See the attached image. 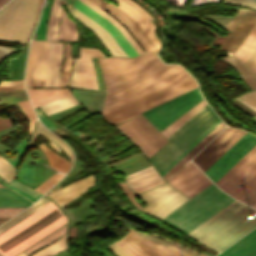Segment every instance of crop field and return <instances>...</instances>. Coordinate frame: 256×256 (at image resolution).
Returning <instances> with one entry per match:
<instances>
[{"label":"crop field","instance_id":"8a807250","mask_svg":"<svg viewBox=\"0 0 256 256\" xmlns=\"http://www.w3.org/2000/svg\"><path fill=\"white\" fill-rule=\"evenodd\" d=\"M51 202L42 198L0 226V234ZM67 222L62 212L51 202L22 222L0 235V252L14 256ZM1 253V254H2Z\"/></svg>","mask_w":256,"mask_h":256},{"label":"crop field","instance_id":"ac0d7876","mask_svg":"<svg viewBox=\"0 0 256 256\" xmlns=\"http://www.w3.org/2000/svg\"><path fill=\"white\" fill-rule=\"evenodd\" d=\"M218 119L203 99L162 130L170 142L151 158L159 173Z\"/></svg>","mask_w":256,"mask_h":256},{"label":"crop field","instance_id":"34b2d1b8","mask_svg":"<svg viewBox=\"0 0 256 256\" xmlns=\"http://www.w3.org/2000/svg\"><path fill=\"white\" fill-rule=\"evenodd\" d=\"M254 212L235 201L187 235L221 251L256 226V218L247 219Z\"/></svg>","mask_w":256,"mask_h":256},{"label":"crop field","instance_id":"412701ff","mask_svg":"<svg viewBox=\"0 0 256 256\" xmlns=\"http://www.w3.org/2000/svg\"><path fill=\"white\" fill-rule=\"evenodd\" d=\"M99 61L108 90L106 98L175 66L163 64L153 53L132 59L113 57Z\"/></svg>","mask_w":256,"mask_h":256},{"label":"crop field","instance_id":"f4fd0767","mask_svg":"<svg viewBox=\"0 0 256 256\" xmlns=\"http://www.w3.org/2000/svg\"><path fill=\"white\" fill-rule=\"evenodd\" d=\"M233 201L212 183L161 220L187 234Z\"/></svg>","mask_w":256,"mask_h":256},{"label":"crop field","instance_id":"dd49c442","mask_svg":"<svg viewBox=\"0 0 256 256\" xmlns=\"http://www.w3.org/2000/svg\"><path fill=\"white\" fill-rule=\"evenodd\" d=\"M196 86V81L192 77L188 76L178 82H175L167 87H164L128 105H125L117 110H114L104 115V117L111 123L117 124L127 118H130L142 111H145L155 105H158L168 99H171Z\"/></svg>","mask_w":256,"mask_h":256},{"label":"crop field","instance_id":"e52e79f7","mask_svg":"<svg viewBox=\"0 0 256 256\" xmlns=\"http://www.w3.org/2000/svg\"><path fill=\"white\" fill-rule=\"evenodd\" d=\"M188 74L179 66H176L166 72L152 77L142 83L128 88L118 94H115L105 100L102 115L128 104L138 98H141L151 92H154L164 86L178 81Z\"/></svg>","mask_w":256,"mask_h":256},{"label":"crop field","instance_id":"d8731c3e","mask_svg":"<svg viewBox=\"0 0 256 256\" xmlns=\"http://www.w3.org/2000/svg\"><path fill=\"white\" fill-rule=\"evenodd\" d=\"M215 184L239 200L247 194L256 185V146Z\"/></svg>","mask_w":256,"mask_h":256},{"label":"crop field","instance_id":"5a996713","mask_svg":"<svg viewBox=\"0 0 256 256\" xmlns=\"http://www.w3.org/2000/svg\"><path fill=\"white\" fill-rule=\"evenodd\" d=\"M202 99L196 87L143 114L161 131Z\"/></svg>","mask_w":256,"mask_h":256},{"label":"crop field","instance_id":"3316defc","mask_svg":"<svg viewBox=\"0 0 256 256\" xmlns=\"http://www.w3.org/2000/svg\"><path fill=\"white\" fill-rule=\"evenodd\" d=\"M138 197L148 205L142 210L160 219L188 200L168 184L141 193Z\"/></svg>","mask_w":256,"mask_h":256},{"label":"crop field","instance_id":"28ad6ade","mask_svg":"<svg viewBox=\"0 0 256 256\" xmlns=\"http://www.w3.org/2000/svg\"><path fill=\"white\" fill-rule=\"evenodd\" d=\"M254 145H256V136L247 132L204 173L215 183Z\"/></svg>","mask_w":256,"mask_h":256},{"label":"crop field","instance_id":"d1516ede","mask_svg":"<svg viewBox=\"0 0 256 256\" xmlns=\"http://www.w3.org/2000/svg\"><path fill=\"white\" fill-rule=\"evenodd\" d=\"M245 133V131L226 128L203 151L201 150L202 152L193 161L204 172Z\"/></svg>","mask_w":256,"mask_h":256},{"label":"crop field","instance_id":"22f410ed","mask_svg":"<svg viewBox=\"0 0 256 256\" xmlns=\"http://www.w3.org/2000/svg\"><path fill=\"white\" fill-rule=\"evenodd\" d=\"M81 58L75 59L74 68L94 67L90 57H104L98 49L80 48ZM70 86L97 89L94 68L73 69Z\"/></svg>","mask_w":256,"mask_h":256},{"label":"crop field","instance_id":"cbeb9de0","mask_svg":"<svg viewBox=\"0 0 256 256\" xmlns=\"http://www.w3.org/2000/svg\"><path fill=\"white\" fill-rule=\"evenodd\" d=\"M48 42L32 41L28 57L26 86H44Z\"/></svg>","mask_w":256,"mask_h":256},{"label":"crop field","instance_id":"5142ce71","mask_svg":"<svg viewBox=\"0 0 256 256\" xmlns=\"http://www.w3.org/2000/svg\"><path fill=\"white\" fill-rule=\"evenodd\" d=\"M168 183L190 198L212 182L192 162H189Z\"/></svg>","mask_w":256,"mask_h":256},{"label":"crop field","instance_id":"d9b57169","mask_svg":"<svg viewBox=\"0 0 256 256\" xmlns=\"http://www.w3.org/2000/svg\"><path fill=\"white\" fill-rule=\"evenodd\" d=\"M99 8L107 11L112 16H114L119 22H121L131 35L136 39L140 46L145 52L152 51L157 52L156 46L151 42V40L146 36L142 29L137 25V23L130 18L125 12L119 9L113 4H105L102 0H89Z\"/></svg>","mask_w":256,"mask_h":256},{"label":"crop field","instance_id":"733c2abd","mask_svg":"<svg viewBox=\"0 0 256 256\" xmlns=\"http://www.w3.org/2000/svg\"><path fill=\"white\" fill-rule=\"evenodd\" d=\"M27 0H12L8 5H6L4 8L0 10V29L3 23H4L0 32V39L2 40H9V41H15L16 34L21 22V18L26 6ZM8 4V3H7Z\"/></svg>","mask_w":256,"mask_h":256},{"label":"crop field","instance_id":"4a817a6b","mask_svg":"<svg viewBox=\"0 0 256 256\" xmlns=\"http://www.w3.org/2000/svg\"><path fill=\"white\" fill-rule=\"evenodd\" d=\"M74 7L88 16L90 19L99 24L102 28L108 31L112 37L116 40V42L120 45L123 51L127 54L128 57L138 55L135 49L131 46V44L126 40V38L121 34V32L114 27L110 22H108L105 18L100 16L98 13L90 9L88 6L80 2L79 0H75Z\"/></svg>","mask_w":256,"mask_h":256},{"label":"crop field","instance_id":"bc2a9ffb","mask_svg":"<svg viewBox=\"0 0 256 256\" xmlns=\"http://www.w3.org/2000/svg\"><path fill=\"white\" fill-rule=\"evenodd\" d=\"M126 182L135 193H141L163 183V180L152 166L126 176Z\"/></svg>","mask_w":256,"mask_h":256},{"label":"crop field","instance_id":"214f88e0","mask_svg":"<svg viewBox=\"0 0 256 256\" xmlns=\"http://www.w3.org/2000/svg\"><path fill=\"white\" fill-rule=\"evenodd\" d=\"M92 186H94V178L91 175L87 178L78 180L48 196L51 197L61 207Z\"/></svg>","mask_w":256,"mask_h":256},{"label":"crop field","instance_id":"92a150f3","mask_svg":"<svg viewBox=\"0 0 256 256\" xmlns=\"http://www.w3.org/2000/svg\"><path fill=\"white\" fill-rule=\"evenodd\" d=\"M73 15L75 18L80 20L82 23H84L86 26H88L92 31H94L97 34V36L103 42V44L111 53V55L127 57L126 54L122 51V49L115 42V40L111 37V35L108 32H106L104 29H102L100 26H98L99 24L97 25L96 23H94L95 21L93 22L92 20H90L88 17H86L76 8H73Z\"/></svg>","mask_w":256,"mask_h":256},{"label":"crop field","instance_id":"dafd665d","mask_svg":"<svg viewBox=\"0 0 256 256\" xmlns=\"http://www.w3.org/2000/svg\"><path fill=\"white\" fill-rule=\"evenodd\" d=\"M63 43L49 42L45 86H57L62 58Z\"/></svg>","mask_w":256,"mask_h":256},{"label":"crop field","instance_id":"00972430","mask_svg":"<svg viewBox=\"0 0 256 256\" xmlns=\"http://www.w3.org/2000/svg\"><path fill=\"white\" fill-rule=\"evenodd\" d=\"M217 256H256V229Z\"/></svg>","mask_w":256,"mask_h":256},{"label":"crop field","instance_id":"a9b5d70f","mask_svg":"<svg viewBox=\"0 0 256 256\" xmlns=\"http://www.w3.org/2000/svg\"><path fill=\"white\" fill-rule=\"evenodd\" d=\"M255 21H256V13L248 11V13L242 19L240 24L231 34L229 39L223 45V48L234 51L235 48L243 41V39L248 34L250 29L253 27Z\"/></svg>","mask_w":256,"mask_h":256},{"label":"crop field","instance_id":"4177f3b9","mask_svg":"<svg viewBox=\"0 0 256 256\" xmlns=\"http://www.w3.org/2000/svg\"><path fill=\"white\" fill-rule=\"evenodd\" d=\"M27 91L34 107L41 106L71 94L69 88L27 89Z\"/></svg>","mask_w":256,"mask_h":256},{"label":"crop field","instance_id":"730fd06b","mask_svg":"<svg viewBox=\"0 0 256 256\" xmlns=\"http://www.w3.org/2000/svg\"><path fill=\"white\" fill-rule=\"evenodd\" d=\"M117 127L124 132L145 154L150 157L158 150L135 128L129 121H125Z\"/></svg>","mask_w":256,"mask_h":256},{"label":"crop field","instance_id":"eef30255","mask_svg":"<svg viewBox=\"0 0 256 256\" xmlns=\"http://www.w3.org/2000/svg\"><path fill=\"white\" fill-rule=\"evenodd\" d=\"M225 125L221 121L212 131H210L193 149H191L173 168H171L163 177L168 180L176 173L188 160H190L203 146H205Z\"/></svg>","mask_w":256,"mask_h":256},{"label":"crop field","instance_id":"ae1a2a85","mask_svg":"<svg viewBox=\"0 0 256 256\" xmlns=\"http://www.w3.org/2000/svg\"><path fill=\"white\" fill-rule=\"evenodd\" d=\"M36 6L37 0H28L15 42L25 43L33 27Z\"/></svg>","mask_w":256,"mask_h":256},{"label":"crop field","instance_id":"d3111659","mask_svg":"<svg viewBox=\"0 0 256 256\" xmlns=\"http://www.w3.org/2000/svg\"><path fill=\"white\" fill-rule=\"evenodd\" d=\"M130 121L158 150L167 142L141 115Z\"/></svg>","mask_w":256,"mask_h":256},{"label":"crop field","instance_id":"750c4746","mask_svg":"<svg viewBox=\"0 0 256 256\" xmlns=\"http://www.w3.org/2000/svg\"><path fill=\"white\" fill-rule=\"evenodd\" d=\"M61 10L62 17L58 34V41L77 42V29L75 23L69 17L66 16L62 7Z\"/></svg>","mask_w":256,"mask_h":256},{"label":"crop field","instance_id":"bd1437ed","mask_svg":"<svg viewBox=\"0 0 256 256\" xmlns=\"http://www.w3.org/2000/svg\"><path fill=\"white\" fill-rule=\"evenodd\" d=\"M60 16V1L54 0L49 16L46 40H57V27Z\"/></svg>","mask_w":256,"mask_h":256},{"label":"crop field","instance_id":"1d83c4d3","mask_svg":"<svg viewBox=\"0 0 256 256\" xmlns=\"http://www.w3.org/2000/svg\"><path fill=\"white\" fill-rule=\"evenodd\" d=\"M39 147L42 150V152L45 154L51 168L61 173H66V171L70 168L72 163H68L65 159L54 154L43 143Z\"/></svg>","mask_w":256,"mask_h":256},{"label":"crop field","instance_id":"120bbe31","mask_svg":"<svg viewBox=\"0 0 256 256\" xmlns=\"http://www.w3.org/2000/svg\"><path fill=\"white\" fill-rule=\"evenodd\" d=\"M38 133L44 135L50 141L49 145L54 150L59 151V147H60L66 153V155L70 158V162L72 161L73 155H72V152L69 149V147L67 145H65L62 141H60L57 137H55L50 132H48L39 121H38V126H37L32 138H31L30 144H31L32 140L34 139V137ZM50 138H52L59 145V147Z\"/></svg>","mask_w":256,"mask_h":256},{"label":"crop field","instance_id":"d32e631a","mask_svg":"<svg viewBox=\"0 0 256 256\" xmlns=\"http://www.w3.org/2000/svg\"><path fill=\"white\" fill-rule=\"evenodd\" d=\"M256 49V25L247 36L240 48L235 52V55L243 63L250 54Z\"/></svg>","mask_w":256,"mask_h":256},{"label":"crop field","instance_id":"5866460e","mask_svg":"<svg viewBox=\"0 0 256 256\" xmlns=\"http://www.w3.org/2000/svg\"><path fill=\"white\" fill-rule=\"evenodd\" d=\"M0 183L4 184L5 186H7L11 189H13L16 192L22 194L23 196H25L26 198H28L32 202H35L40 196L43 195V194L35 191L34 189H32V188L14 180V179L11 180L10 182H8V184L0 179Z\"/></svg>","mask_w":256,"mask_h":256},{"label":"crop field","instance_id":"028f5c9d","mask_svg":"<svg viewBox=\"0 0 256 256\" xmlns=\"http://www.w3.org/2000/svg\"><path fill=\"white\" fill-rule=\"evenodd\" d=\"M31 202L4 189L0 188V207L2 206H29Z\"/></svg>","mask_w":256,"mask_h":256},{"label":"crop field","instance_id":"e1f06a70","mask_svg":"<svg viewBox=\"0 0 256 256\" xmlns=\"http://www.w3.org/2000/svg\"><path fill=\"white\" fill-rule=\"evenodd\" d=\"M83 3L91 7L93 10L101 14L103 17H105L108 21H110L114 26H116L122 34L127 38V40L132 44V46L137 50L139 54L143 53L142 49L138 46V44L134 41V39L129 35V33L125 30V28L119 24L115 19H113L110 15L90 3L88 0H81ZM135 50V51H136Z\"/></svg>","mask_w":256,"mask_h":256},{"label":"crop field","instance_id":"0bd39190","mask_svg":"<svg viewBox=\"0 0 256 256\" xmlns=\"http://www.w3.org/2000/svg\"><path fill=\"white\" fill-rule=\"evenodd\" d=\"M224 59L229 62L240 74L242 79L248 84V86L254 90L256 89V80L252 75L246 70V68L240 63V61L234 56L224 57Z\"/></svg>","mask_w":256,"mask_h":256},{"label":"crop field","instance_id":"b80d0937","mask_svg":"<svg viewBox=\"0 0 256 256\" xmlns=\"http://www.w3.org/2000/svg\"><path fill=\"white\" fill-rule=\"evenodd\" d=\"M78 102L74 99L72 95L62 98L60 100L54 101L52 103L41 106V109L47 114H52L54 112L60 111L62 109L68 108L77 104Z\"/></svg>","mask_w":256,"mask_h":256},{"label":"crop field","instance_id":"c035e120","mask_svg":"<svg viewBox=\"0 0 256 256\" xmlns=\"http://www.w3.org/2000/svg\"><path fill=\"white\" fill-rule=\"evenodd\" d=\"M121 5H123L124 7L130 9L132 12H134L138 17H140L144 23L148 26V28L152 31V33L154 34V32L156 31L155 27L152 25V23L149 21V19H152V17L150 15H148L138 4L134 3L131 0H126L129 3L133 4L134 6H136L145 16H147L149 19H147L137 8L133 7L132 5H130L129 3L123 1V0H113Z\"/></svg>","mask_w":256,"mask_h":256},{"label":"crop field","instance_id":"c21b1889","mask_svg":"<svg viewBox=\"0 0 256 256\" xmlns=\"http://www.w3.org/2000/svg\"><path fill=\"white\" fill-rule=\"evenodd\" d=\"M129 230L132 235H134L135 237H137L138 239H140L141 241H143L145 244H147L148 246H150L152 249H154L156 252H158L159 254H161L162 256H186L183 255L179 252H176L174 250H171L167 247H164L162 245H159L155 242H152L150 240H147L143 237L138 236L137 234H135L133 231H131L129 228L127 229Z\"/></svg>","mask_w":256,"mask_h":256},{"label":"crop field","instance_id":"03da06ac","mask_svg":"<svg viewBox=\"0 0 256 256\" xmlns=\"http://www.w3.org/2000/svg\"><path fill=\"white\" fill-rule=\"evenodd\" d=\"M121 239H123L125 242H127L128 244H130L132 247H134L135 249H137L139 252H141L143 255L145 256H160L159 254H157L155 251H153L152 249H150L148 246H146L145 244H143L142 242H140L138 239H136L135 237H133L131 234H126L124 237H122Z\"/></svg>","mask_w":256,"mask_h":256},{"label":"crop field","instance_id":"b54c1fbb","mask_svg":"<svg viewBox=\"0 0 256 256\" xmlns=\"http://www.w3.org/2000/svg\"><path fill=\"white\" fill-rule=\"evenodd\" d=\"M65 229H66V225L62 226L61 228H59L58 230L54 231L50 235L46 236L42 240L38 241L37 243H35L34 245H32L30 248H28L25 251L29 255L32 252H34L35 250L39 249L40 247L50 244L55 239H57L59 236L65 234Z\"/></svg>","mask_w":256,"mask_h":256},{"label":"crop field","instance_id":"5d738f31","mask_svg":"<svg viewBox=\"0 0 256 256\" xmlns=\"http://www.w3.org/2000/svg\"><path fill=\"white\" fill-rule=\"evenodd\" d=\"M65 236L66 235H64L62 238H60L54 244L41 249L40 251L32 254L31 256H51V255L63 250L64 248H66Z\"/></svg>","mask_w":256,"mask_h":256},{"label":"crop field","instance_id":"d23c7cc5","mask_svg":"<svg viewBox=\"0 0 256 256\" xmlns=\"http://www.w3.org/2000/svg\"><path fill=\"white\" fill-rule=\"evenodd\" d=\"M136 232V231H135ZM138 235H140V236H143V237H145V238H148V239H150V240H152V241H155V242H157V243H160V244H162V245H165V246H167V247H169V248H172V249H174V250H177V251H179V252H182V253H184V254H187V255H189V256H197V255H195V254H193V253H191V252H189V251H187V250H184V249H182V248H180V247H177V246H175V245H173V244H170V243H167V242H165V241H163V240H161V239H158V238H155V237H153V236H150V235H147V234H144V233H140V232H136ZM153 235H155V234H153ZM156 236H158V235H156ZM158 237H160V236H158ZM160 238H162V237H160ZM164 239V238H163ZM166 240V239H165ZM167 241H169V240H167ZM169 242H171V243H174V244H176V245H179V246H182V245H180V244H178V243H176V242H173V241H169ZM182 247H184V246H182ZM184 248H186V247H184ZM188 249V248H187ZM189 250H191V249H189ZM191 251H193V250H191ZM193 252H195V253H197V254H200L201 256H207V255H205V254H201V253H198V252H196V251H193Z\"/></svg>","mask_w":256,"mask_h":256},{"label":"crop field","instance_id":"425ffa30","mask_svg":"<svg viewBox=\"0 0 256 256\" xmlns=\"http://www.w3.org/2000/svg\"><path fill=\"white\" fill-rule=\"evenodd\" d=\"M2 157V156H1ZM0 157V177L5 181H10L15 177L14 167Z\"/></svg>","mask_w":256,"mask_h":256},{"label":"crop field","instance_id":"25e5ab78","mask_svg":"<svg viewBox=\"0 0 256 256\" xmlns=\"http://www.w3.org/2000/svg\"><path fill=\"white\" fill-rule=\"evenodd\" d=\"M120 7L122 10H124L129 16H131L137 23L138 25L143 29V31L148 35V37L152 40V42L157 46V48H159L160 43L158 42V40L154 37V35L151 33V31L147 28V26L143 23V21L138 18L134 13H132L130 10L122 7V6H118Z\"/></svg>","mask_w":256,"mask_h":256},{"label":"crop field","instance_id":"73cf0c24","mask_svg":"<svg viewBox=\"0 0 256 256\" xmlns=\"http://www.w3.org/2000/svg\"><path fill=\"white\" fill-rule=\"evenodd\" d=\"M18 104L30 121V132H29V134H30V133H32L33 128L35 126V122H36L35 114H34L32 107L28 100L19 101Z\"/></svg>","mask_w":256,"mask_h":256},{"label":"crop field","instance_id":"89e229c0","mask_svg":"<svg viewBox=\"0 0 256 256\" xmlns=\"http://www.w3.org/2000/svg\"><path fill=\"white\" fill-rule=\"evenodd\" d=\"M50 2H51V0L49 1L48 6L44 8L41 19H40L37 29L35 31V32H39L36 39L44 40V32H45V28H46V22H47V16H48Z\"/></svg>","mask_w":256,"mask_h":256},{"label":"crop field","instance_id":"1f2cbd36","mask_svg":"<svg viewBox=\"0 0 256 256\" xmlns=\"http://www.w3.org/2000/svg\"><path fill=\"white\" fill-rule=\"evenodd\" d=\"M221 120L219 119L214 125H212L202 136H200L190 147H188L178 158H176L161 174L162 176L173 167L191 148H193L211 129H213ZM212 131V130H211Z\"/></svg>","mask_w":256,"mask_h":256},{"label":"crop field","instance_id":"dbb93151","mask_svg":"<svg viewBox=\"0 0 256 256\" xmlns=\"http://www.w3.org/2000/svg\"><path fill=\"white\" fill-rule=\"evenodd\" d=\"M25 207H2L0 208V218H11ZM8 219H0V221H6Z\"/></svg>","mask_w":256,"mask_h":256},{"label":"crop field","instance_id":"0fb4a251","mask_svg":"<svg viewBox=\"0 0 256 256\" xmlns=\"http://www.w3.org/2000/svg\"><path fill=\"white\" fill-rule=\"evenodd\" d=\"M63 175L61 174H54L51 176L48 180H46L43 184H41L38 188L35 190L45 193L47 190H49Z\"/></svg>","mask_w":256,"mask_h":256},{"label":"crop field","instance_id":"1d79db26","mask_svg":"<svg viewBox=\"0 0 256 256\" xmlns=\"http://www.w3.org/2000/svg\"><path fill=\"white\" fill-rule=\"evenodd\" d=\"M23 89L22 80L1 81L0 90Z\"/></svg>","mask_w":256,"mask_h":256},{"label":"crop field","instance_id":"9d1cf04e","mask_svg":"<svg viewBox=\"0 0 256 256\" xmlns=\"http://www.w3.org/2000/svg\"><path fill=\"white\" fill-rule=\"evenodd\" d=\"M241 201L256 208V186Z\"/></svg>","mask_w":256,"mask_h":256},{"label":"crop field","instance_id":"447ae74e","mask_svg":"<svg viewBox=\"0 0 256 256\" xmlns=\"http://www.w3.org/2000/svg\"><path fill=\"white\" fill-rule=\"evenodd\" d=\"M243 64L256 77V50L251 54V56Z\"/></svg>","mask_w":256,"mask_h":256},{"label":"crop field","instance_id":"0765c3eb","mask_svg":"<svg viewBox=\"0 0 256 256\" xmlns=\"http://www.w3.org/2000/svg\"><path fill=\"white\" fill-rule=\"evenodd\" d=\"M223 2L232 3V4H236V5H240V6H244V7H248L256 10V2L251 0H223Z\"/></svg>","mask_w":256,"mask_h":256},{"label":"crop field","instance_id":"db79e9e6","mask_svg":"<svg viewBox=\"0 0 256 256\" xmlns=\"http://www.w3.org/2000/svg\"><path fill=\"white\" fill-rule=\"evenodd\" d=\"M114 243H116L118 246H120L121 248H123L125 251H127L128 253H130L132 256H143L141 253H139L138 251H136L134 248H132L130 245H128L127 243H125L123 240L119 239L117 241H115Z\"/></svg>","mask_w":256,"mask_h":256},{"label":"crop field","instance_id":"7b73153f","mask_svg":"<svg viewBox=\"0 0 256 256\" xmlns=\"http://www.w3.org/2000/svg\"><path fill=\"white\" fill-rule=\"evenodd\" d=\"M246 11L247 10L239 9V11L236 13V15L233 17V19L227 25L226 29L232 31L234 29V27L237 25V23L240 21V19L243 17V15L246 13Z\"/></svg>","mask_w":256,"mask_h":256},{"label":"crop field","instance_id":"78b8030e","mask_svg":"<svg viewBox=\"0 0 256 256\" xmlns=\"http://www.w3.org/2000/svg\"><path fill=\"white\" fill-rule=\"evenodd\" d=\"M120 189L127 195V197L135 204V206L140 210V206L135 201L134 197L135 195L132 193V191L127 187L125 183L119 184Z\"/></svg>","mask_w":256,"mask_h":256},{"label":"crop field","instance_id":"0f1d7ab4","mask_svg":"<svg viewBox=\"0 0 256 256\" xmlns=\"http://www.w3.org/2000/svg\"><path fill=\"white\" fill-rule=\"evenodd\" d=\"M83 163L79 162L78 160H75V164H74V167L73 169L68 173V175L59 183H63L65 182L66 180L70 179L71 177H73L74 175H76L80 170V166L82 165ZM58 184V185H59ZM57 186V185H56Z\"/></svg>","mask_w":256,"mask_h":256},{"label":"crop field","instance_id":"e1d0b9f6","mask_svg":"<svg viewBox=\"0 0 256 256\" xmlns=\"http://www.w3.org/2000/svg\"><path fill=\"white\" fill-rule=\"evenodd\" d=\"M107 248H109L111 251H113L115 254H117L118 256H131L130 254H128L127 252H125L123 249H121L120 247H118L116 244H111L109 245Z\"/></svg>","mask_w":256,"mask_h":256},{"label":"crop field","instance_id":"ae633e8c","mask_svg":"<svg viewBox=\"0 0 256 256\" xmlns=\"http://www.w3.org/2000/svg\"><path fill=\"white\" fill-rule=\"evenodd\" d=\"M14 48L0 46V62L14 52Z\"/></svg>","mask_w":256,"mask_h":256},{"label":"crop field","instance_id":"d14b1444","mask_svg":"<svg viewBox=\"0 0 256 256\" xmlns=\"http://www.w3.org/2000/svg\"><path fill=\"white\" fill-rule=\"evenodd\" d=\"M242 102H244L245 104H247L248 106H250L251 108H253L254 110H256V102L253 101L252 99H250L248 96H246L245 94L236 98ZM256 118V117H255Z\"/></svg>","mask_w":256,"mask_h":256},{"label":"crop field","instance_id":"c39391a2","mask_svg":"<svg viewBox=\"0 0 256 256\" xmlns=\"http://www.w3.org/2000/svg\"><path fill=\"white\" fill-rule=\"evenodd\" d=\"M202 28H204L206 31H208L209 33H211L213 36H215L216 37V39H215V41L212 43V44H218V45H220V46H222V44L224 43V41H225V39L227 38V36L229 35V32H228V34H227V36L226 37H219L217 34H215L214 32H212L211 30H209L208 28H206V27H202Z\"/></svg>","mask_w":256,"mask_h":256},{"label":"crop field","instance_id":"ade564c9","mask_svg":"<svg viewBox=\"0 0 256 256\" xmlns=\"http://www.w3.org/2000/svg\"><path fill=\"white\" fill-rule=\"evenodd\" d=\"M8 126H11L10 121L7 120V119H2V118L0 117V130H1V129H4V128L8 127Z\"/></svg>","mask_w":256,"mask_h":256},{"label":"crop field","instance_id":"c5b07064","mask_svg":"<svg viewBox=\"0 0 256 256\" xmlns=\"http://www.w3.org/2000/svg\"><path fill=\"white\" fill-rule=\"evenodd\" d=\"M76 233H77L76 227L70 228V231H69V238L76 237Z\"/></svg>","mask_w":256,"mask_h":256},{"label":"crop field","instance_id":"c3a83c6f","mask_svg":"<svg viewBox=\"0 0 256 256\" xmlns=\"http://www.w3.org/2000/svg\"><path fill=\"white\" fill-rule=\"evenodd\" d=\"M247 95L250 96L253 100L256 101V92L255 91L247 93Z\"/></svg>","mask_w":256,"mask_h":256},{"label":"crop field","instance_id":"fb207236","mask_svg":"<svg viewBox=\"0 0 256 256\" xmlns=\"http://www.w3.org/2000/svg\"><path fill=\"white\" fill-rule=\"evenodd\" d=\"M189 240V239H188ZM191 241V240H190ZM191 242H193V241H191ZM193 243H195V242H193ZM196 245H198V246H200V247H202V248H204L203 246H201V245H199V244H197V243H195ZM204 249H206V248H204ZM209 249V248H208ZM208 249H206V250H208ZM208 251H210L211 253H213V254H217V253H215V252H213V251H211V250H208Z\"/></svg>","mask_w":256,"mask_h":256},{"label":"crop field","instance_id":"7312dd0a","mask_svg":"<svg viewBox=\"0 0 256 256\" xmlns=\"http://www.w3.org/2000/svg\"><path fill=\"white\" fill-rule=\"evenodd\" d=\"M17 256H26L23 252L18 254Z\"/></svg>","mask_w":256,"mask_h":256},{"label":"crop field","instance_id":"180be81f","mask_svg":"<svg viewBox=\"0 0 256 256\" xmlns=\"http://www.w3.org/2000/svg\"><path fill=\"white\" fill-rule=\"evenodd\" d=\"M6 0H0V5L3 4Z\"/></svg>","mask_w":256,"mask_h":256},{"label":"crop field","instance_id":"f0312440","mask_svg":"<svg viewBox=\"0 0 256 256\" xmlns=\"http://www.w3.org/2000/svg\"><path fill=\"white\" fill-rule=\"evenodd\" d=\"M3 222H0V224H2Z\"/></svg>","mask_w":256,"mask_h":256},{"label":"crop field","instance_id":"1f1604b0","mask_svg":"<svg viewBox=\"0 0 256 256\" xmlns=\"http://www.w3.org/2000/svg\"><path fill=\"white\" fill-rule=\"evenodd\" d=\"M106 256H108V255L106 254Z\"/></svg>","mask_w":256,"mask_h":256},{"label":"crop field","instance_id":"819c52e7","mask_svg":"<svg viewBox=\"0 0 256 256\" xmlns=\"http://www.w3.org/2000/svg\"><path fill=\"white\" fill-rule=\"evenodd\" d=\"M0 187H2V186L0 185Z\"/></svg>","mask_w":256,"mask_h":256},{"label":"crop field","instance_id":"c821d689","mask_svg":"<svg viewBox=\"0 0 256 256\" xmlns=\"http://www.w3.org/2000/svg\"><path fill=\"white\" fill-rule=\"evenodd\" d=\"M0 256H2V255L0 254Z\"/></svg>","mask_w":256,"mask_h":256}]
</instances>
